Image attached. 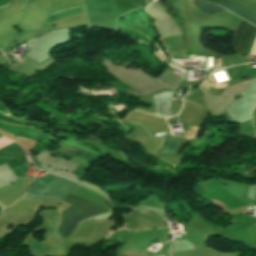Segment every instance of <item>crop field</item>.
Instances as JSON below:
<instances>
[{
  "label": "crop field",
  "mask_w": 256,
  "mask_h": 256,
  "mask_svg": "<svg viewBox=\"0 0 256 256\" xmlns=\"http://www.w3.org/2000/svg\"><path fill=\"white\" fill-rule=\"evenodd\" d=\"M256 36V28L251 24L243 21L237 31L233 41V49L236 53L249 54Z\"/></svg>",
  "instance_id": "3"
},
{
  "label": "crop field",
  "mask_w": 256,
  "mask_h": 256,
  "mask_svg": "<svg viewBox=\"0 0 256 256\" xmlns=\"http://www.w3.org/2000/svg\"><path fill=\"white\" fill-rule=\"evenodd\" d=\"M24 151L20 146L13 143L3 149L0 150L1 155L5 156H16V157H26V155L23 153Z\"/></svg>",
  "instance_id": "7"
},
{
  "label": "crop field",
  "mask_w": 256,
  "mask_h": 256,
  "mask_svg": "<svg viewBox=\"0 0 256 256\" xmlns=\"http://www.w3.org/2000/svg\"><path fill=\"white\" fill-rule=\"evenodd\" d=\"M1 207V206H0ZM3 208V207H2ZM4 209V208H3ZM1 214H2V209L0 208V216H1Z\"/></svg>",
  "instance_id": "10"
},
{
  "label": "crop field",
  "mask_w": 256,
  "mask_h": 256,
  "mask_svg": "<svg viewBox=\"0 0 256 256\" xmlns=\"http://www.w3.org/2000/svg\"><path fill=\"white\" fill-rule=\"evenodd\" d=\"M79 7H82V6H79ZM74 8H78V7H73V8L65 9V10L53 13L51 15H54V14H57V13H60V12L66 11V10L74 9ZM77 12H84L83 7L82 8H78V9H74V10H70V11H66V12H63V13H60V14H57V15H54V16H51V17L48 18V20L45 23L49 24V23L55 21L56 19H58V18H60L62 16L69 15V14H72V13H77Z\"/></svg>",
  "instance_id": "9"
},
{
  "label": "crop field",
  "mask_w": 256,
  "mask_h": 256,
  "mask_svg": "<svg viewBox=\"0 0 256 256\" xmlns=\"http://www.w3.org/2000/svg\"><path fill=\"white\" fill-rule=\"evenodd\" d=\"M175 91H163L158 95H154L155 98V112L154 114L162 117H171L170 99Z\"/></svg>",
  "instance_id": "4"
},
{
  "label": "crop field",
  "mask_w": 256,
  "mask_h": 256,
  "mask_svg": "<svg viewBox=\"0 0 256 256\" xmlns=\"http://www.w3.org/2000/svg\"><path fill=\"white\" fill-rule=\"evenodd\" d=\"M220 5H222L223 7L229 9L230 11L236 13L237 15L243 17L244 19L248 20L249 22L253 23L256 25V16L253 15L250 11H248L247 9L234 4L232 2L229 1H225L222 0L220 2Z\"/></svg>",
  "instance_id": "5"
},
{
  "label": "crop field",
  "mask_w": 256,
  "mask_h": 256,
  "mask_svg": "<svg viewBox=\"0 0 256 256\" xmlns=\"http://www.w3.org/2000/svg\"><path fill=\"white\" fill-rule=\"evenodd\" d=\"M33 1V0H30V2Z\"/></svg>",
  "instance_id": "11"
},
{
  "label": "crop field",
  "mask_w": 256,
  "mask_h": 256,
  "mask_svg": "<svg viewBox=\"0 0 256 256\" xmlns=\"http://www.w3.org/2000/svg\"><path fill=\"white\" fill-rule=\"evenodd\" d=\"M194 3L197 8L201 9L205 13H216V12L224 11L222 8H220L216 5H212V4L200 1V0H194Z\"/></svg>",
  "instance_id": "8"
},
{
  "label": "crop field",
  "mask_w": 256,
  "mask_h": 256,
  "mask_svg": "<svg viewBox=\"0 0 256 256\" xmlns=\"http://www.w3.org/2000/svg\"><path fill=\"white\" fill-rule=\"evenodd\" d=\"M177 138L175 136L164 135L163 143L161 144L158 152L174 153Z\"/></svg>",
  "instance_id": "6"
},
{
  "label": "crop field",
  "mask_w": 256,
  "mask_h": 256,
  "mask_svg": "<svg viewBox=\"0 0 256 256\" xmlns=\"http://www.w3.org/2000/svg\"><path fill=\"white\" fill-rule=\"evenodd\" d=\"M76 186L58 176L46 174L35 181L27 195L62 200Z\"/></svg>",
  "instance_id": "2"
},
{
  "label": "crop field",
  "mask_w": 256,
  "mask_h": 256,
  "mask_svg": "<svg viewBox=\"0 0 256 256\" xmlns=\"http://www.w3.org/2000/svg\"><path fill=\"white\" fill-rule=\"evenodd\" d=\"M64 202L70 204L71 206L93 216L97 214H101L104 212H108L109 210L103 209L101 207L95 206L73 194H69V196L64 200ZM69 207L63 213H61L62 219L57 230V233L62 238H67L73 232L79 221L87 219L91 216L73 208Z\"/></svg>",
  "instance_id": "1"
}]
</instances>
